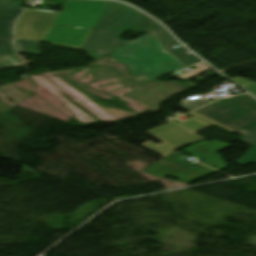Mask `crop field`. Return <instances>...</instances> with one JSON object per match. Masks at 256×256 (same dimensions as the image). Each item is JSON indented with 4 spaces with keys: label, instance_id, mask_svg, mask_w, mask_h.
Instances as JSON below:
<instances>
[{
    "label": "crop field",
    "instance_id": "11",
    "mask_svg": "<svg viewBox=\"0 0 256 256\" xmlns=\"http://www.w3.org/2000/svg\"><path fill=\"white\" fill-rule=\"evenodd\" d=\"M163 49L166 52L174 51L177 49H181V47L172 49L170 50L168 47L178 45L179 43L163 28V27H158L154 29Z\"/></svg>",
    "mask_w": 256,
    "mask_h": 256
},
{
    "label": "crop field",
    "instance_id": "5",
    "mask_svg": "<svg viewBox=\"0 0 256 256\" xmlns=\"http://www.w3.org/2000/svg\"><path fill=\"white\" fill-rule=\"evenodd\" d=\"M195 112L243 135L256 129V100L248 94L219 100Z\"/></svg>",
    "mask_w": 256,
    "mask_h": 256
},
{
    "label": "crop field",
    "instance_id": "2",
    "mask_svg": "<svg viewBox=\"0 0 256 256\" xmlns=\"http://www.w3.org/2000/svg\"><path fill=\"white\" fill-rule=\"evenodd\" d=\"M108 1L67 0L43 41L81 50Z\"/></svg>",
    "mask_w": 256,
    "mask_h": 256
},
{
    "label": "crop field",
    "instance_id": "12",
    "mask_svg": "<svg viewBox=\"0 0 256 256\" xmlns=\"http://www.w3.org/2000/svg\"><path fill=\"white\" fill-rule=\"evenodd\" d=\"M15 45L17 52L40 55L38 51V42L18 40L15 41Z\"/></svg>",
    "mask_w": 256,
    "mask_h": 256
},
{
    "label": "crop field",
    "instance_id": "9",
    "mask_svg": "<svg viewBox=\"0 0 256 256\" xmlns=\"http://www.w3.org/2000/svg\"><path fill=\"white\" fill-rule=\"evenodd\" d=\"M11 41L0 37V68L22 66L14 54Z\"/></svg>",
    "mask_w": 256,
    "mask_h": 256
},
{
    "label": "crop field",
    "instance_id": "4",
    "mask_svg": "<svg viewBox=\"0 0 256 256\" xmlns=\"http://www.w3.org/2000/svg\"><path fill=\"white\" fill-rule=\"evenodd\" d=\"M227 147H229V145L223 142L214 140L208 142L204 140L199 143L188 146L182 150L199 159L206 161L203 164L209 167L217 165L218 167L214 169L221 171L223 169H226L225 166H227L228 164L223 163V157L216 154L215 152L225 149ZM182 160L183 158L176 155L175 153H172L169 156L160 160L159 162L155 163L151 167L144 170V172L157 175L163 178L170 176L188 183H191L195 180H198L202 177H205L209 174L216 172L202 165L193 167Z\"/></svg>",
    "mask_w": 256,
    "mask_h": 256
},
{
    "label": "crop field",
    "instance_id": "10",
    "mask_svg": "<svg viewBox=\"0 0 256 256\" xmlns=\"http://www.w3.org/2000/svg\"><path fill=\"white\" fill-rule=\"evenodd\" d=\"M239 140L253 146L244 156H242L236 163L243 166L251 161L256 162V131H253Z\"/></svg>",
    "mask_w": 256,
    "mask_h": 256
},
{
    "label": "crop field",
    "instance_id": "7",
    "mask_svg": "<svg viewBox=\"0 0 256 256\" xmlns=\"http://www.w3.org/2000/svg\"><path fill=\"white\" fill-rule=\"evenodd\" d=\"M57 15L56 12L26 9L17 23L16 39L42 41Z\"/></svg>",
    "mask_w": 256,
    "mask_h": 256
},
{
    "label": "crop field",
    "instance_id": "13",
    "mask_svg": "<svg viewBox=\"0 0 256 256\" xmlns=\"http://www.w3.org/2000/svg\"><path fill=\"white\" fill-rule=\"evenodd\" d=\"M184 52H187L185 49H181L178 51L171 52V54L176 57L182 64H184L186 67L198 62H201L197 57L190 56Z\"/></svg>",
    "mask_w": 256,
    "mask_h": 256
},
{
    "label": "crop field",
    "instance_id": "16",
    "mask_svg": "<svg viewBox=\"0 0 256 256\" xmlns=\"http://www.w3.org/2000/svg\"><path fill=\"white\" fill-rule=\"evenodd\" d=\"M23 2L12 1V0H0V4L21 7Z\"/></svg>",
    "mask_w": 256,
    "mask_h": 256
},
{
    "label": "crop field",
    "instance_id": "1",
    "mask_svg": "<svg viewBox=\"0 0 256 256\" xmlns=\"http://www.w3.org/2000/svg\"><path fill=\"white\" fill-rule=\"evenodd\" d=\"M158 26L134 8L109 1L82 50L96 61L130 43L117 40L123 30L148 32Z\"/></svg>",
    "mask_w": 256,
    "mask_h": 256
},
{
    "label": "crop field",
    "instance_id": "6",
    "mask_svg": "<svg viewBox=\"0 0 256 256\" xmlns=\"http://www.w3.org/2000/svg\"><path fill=\"white\" fill-rule=\"evenodd\" d=\"M187 115L193 118L188 121L185 120L186 122L183 123L177 124L170 122L157 128L145 131L146 133L152 135L153 137L157 138L163 143L156 145L150 141H147L140 145L164 157L173 152L174 150H176L177 148L187 146L189 144H192L203 139L202 137L194 134L193 132L205 129L216 124L194 112L189 113ZM220 127L232 133L235 132L223 126Z\"/></svg>",
    "mask_w": 256,
    "mask_h": 256
},
{
    "label": "crop field",
    "instance_id": "3",
    "mask_svg": "<svg viewBox=\"0 0 256 256\" xmlns=\"http://www.w3.org/2000/svg\"><path fill=\"white\" fill-rule=\"evenodd\" d=\"M109 56L111 62L127 64L138 81H153L164 73L185 67L163 51L153 30Z\"/></svg>",
    "mask_w": 256,
    "mask_h": 256
},
{
    "label": "crop field",
    "instance_id": "8",
    "mask_svg": "<svg viewBox=\"0 0 256 256\" xmlns=\"http://www.w3.org/2000/svg\"><path fill=\"white\" fill-rule=\"evenodd\" d=\"M22 8L0 5V36L12 38L13 24Z\"/></svg>",
    "mask_w": 256,
    "mask_h": 256
},
{
    "label": "crop field",
    "instance_id": "14",
    "mask_svg": "<svg viewBox=\"0 0 256 256\" xmlns=\"http://www.w3.org/2000/svg\"><path fill=\"white\" fill-rule=\"evenodd\" d=\"M207 103H209V102L206 100H202L201 98L194 100V101H187V100L183 99V100L179 101L178 106L190 111L192 109H195V108L202 106L204 104H207Z\"/></svg>",
    "mask_w": 256,
    "mask_h": 256
},
{
    "label": "crop field",
    "instance_id": "15",
    "mask_svg": "<svg viewBox=\"0 0 256 256\" xmlns=\"http://www.w3.org/2000/svg\"><path fill=\"white\" fill-rule=\"evenodd\" d=\"M231 79L256 96V82L247 81L239 76Z\"/></svg>",
    "mask_w": 256,
    "mask_h": 256
}]
</instances>
